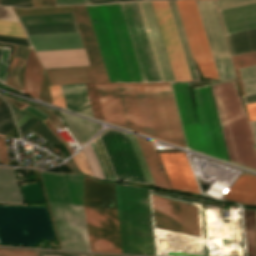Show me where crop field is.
Listing matches in <instances>:
<instances>
[{
  "label": "crop field",
  "mask_w": 256,
  "mask_h": 256,
  "mask_svg": "<svg viewBox=\"0 0 256 256\" xmlns=\"http://www.w3.org/2000/svg\"><path fill=\"white\" fill-rule=\"evenodd\" d=\"M114 188L123 254L155 256L148 190ZM114 188L85 177L83 203L91 251L122 254Z\"/></svg>",
  "instance_id": "obj_1"
},
{
  "label": "crop field",
  "mask_w": 256,
  "mask_h": 256,
  "mask_svg": "<svg viewBox=\"0 0 256 256\" xmlns=\"http://www.w3.org/2000/svg\"><path fill=\"white\" fill-rule=\"evenodd\" d=\"M86 6L109 81L142 82L118 4Z\"/></svg>",
  "instance_id": "obj_2"
},
{
  "label": "crop field",
  "mask_w": 256,
  "mask_h": 256,
  "mask_svg": "<svg viewBox=\"0 0 256 256\" xmlns=\"http://www.w3.org/2000/svg\"><path fill=\"white\" fill-rule=\"evenodd\" d=\"M171 85L188 148L227 162L208 85L192 88L198 123L186 82Z\"/></svg>",
  "instance_id": "obj_3"
},
{
  "label": "crop field",
  "mask_w": 256,
  "mask_h": 256,
  "mask_svg": "<svg viewBox=\"0 0 256 256\" xmlns=\"http://www.w3.org/2000/svg\"><path fill=\"white\" fill-rule=\"evenodd\" d=\"M210 86L230 162L256 170L252 132L235 81H219Z\"/></svg>",
  "instance_id": "obj_4"
},
{
  "label": "crop field",
  "mask_w": 256,
  "mask_h": 256,
  "mask_svg": "<svg viewBox=\"0 0 256 256\" xmlns=\"http://www.w3.org/2000/svg\"><path fill=\"white\" fill-rule=\"evenodd\" d=\"M40 173L62 248L90 251L83 206H72L62 173Z\"/></svg>",
  "instance_id": "obj_5"
},
{
  "label": "crop field",
  "mask_w": 256,
  "mask_h": 256,
  "mask_svg": "<svg viewBox=\"0 0 256 256\" xmlns=\"http://www.w3.org/2000/svg\"><path fill=\"white\" fill-rule=\"evenodd\" d=\"M118 4L142 81H164L140 2H120Z\"/></svg>",
  "instance_id": "obj_6"
},
{
  "label": "crop field",
  "mask_w": 256,
  "mask_h": 256,
  "mask_svg": "<svg viewBox=\"0 0 256 256\" xmlns=\"http://www.w3.org/2000/svg\"><path fill=\"white\" fill-rule=\"evenodd\" d=\"M142 85L155 137L186 147L169 83Z\"/></svg>",
  "instance_id": "obj_7"
},
{
  "label": "crop field",
  "mask_w": 256,
  "mask_h": 256,
  "mask_svg": "<svg viewBox=\"0 0 256 256\" xmlns=\"http://www.w3.org/2000/svg\"><path fill=\"white\" fill-rule=\"evenodd\" d=\"M95 84H96L104 120L106 122L114 123L121 126V119H122L123 127L125 122L126 128L143 133L132 85L121 84L123 111H124V122H123L120 84H119V91H120L121 119H120L118 84H106V83H95Z\"/></svg>",
  "instance_id": "obj_8"
},
{
  "label": "crop field",
  "mask_w": 256,
  "mask_h": 256,
  "mask_svg": "<svg viewBox=\"0 0 256 256\" xmlns=\"http://www.w3.org/2000/svg\"><path fill=\"white\" fill-rule=\"evenodd\" d=\"M188 44L203 77L218 79L194 1H175Z\"/></svg>",
  "instance_id": "obj_9"
},
{
  "label": "crop field",
  "mask_w": 256,
  "mask_h": 256,
  "mask_svg": "<svg viewBox=\"0 0 256 256\" xmlns=\"http://www.w3.org/2000/svg\"><path fill=\"white\" fill-rule=\"evenodd\" d=\"M221 80L235 78L227 44L213 0L195 1Z\"/></svg>",
  "instance_id": "obj_10"
},
{
  "label": "crop field",
  "mask_w": 256,
  "mask_h": 256,
  "mask_svg": "<svg viewBox=\"0 0 256 256\" xmlns=\"http://www.w3.org/2000/svg\"><path fill=\"white\" fill-rule=\"evenodd\" d=\"M99 136L119 179L146 184L126 134L107 129Z\"/></svg>",
  "instance_id": "obj_11"
},
{
  "label": "crop field",
  "mask_w": 256,
  "mask_h": 256,
  "mask_svg": "<svg viewBox=\"0 0 256 256\" xmlns=\"http://www.w3.org/2000/svg\"><path fill=\"white\" fill-rule=\"evenodd\" d=\"M176 81H191L167 1H151Z\"/></svg>",
  "instance_id": "obj_12"
},
{
  "label": "crop field",
  "mask_w": 256,
  "mask_h": 256,
  "mask_svg": "<svg viewBox=\"0 0 256 256\" xmlns=\"http://www.w3.org/2000/svg\"><path fill=\"white\" fill-rule=\"evenodd\" d=\"M154 200L160 229L199 232L196 205L156 197Z\"/></svg>",
  "instance_id": "obj_13"
},
{
  "label": "crop field",
  "mask_w": 256,
  "mask_h": 256,
  "mask_svg": "<svg viewBox=\"0 0 256 256\" xmlns=\"http://www.w3.org/2000/svg\"><path fill=\"white\" fill-rule=\"evenodd\" d=\"M95 81L109 82L85 5L72 6Z\"/></svg>",
  "instance_id": "obj_14"
},
{
  "label": "crop field",
  "mask_w": 256,
  "mask_h": 256,
  "mask_svg": "<svg viewBox=\"0 0 256 256\" xmlns=\"http://www.w3.org/2000/svg\"><path fill=\"white\" fill-rule=\"evenodd\" d=\"M159 155L173 189L201 194L183 152Z\"/></svg>",
  "instance_id": "obj_15"
},
{
  "label": "crop field",
  "mask_w": 256,
  "mask_h": 256,
  "mask_svg": "<svg viewBox=\"0 0 256 256\" xmlns=\"http://www.w3.org/2000/svg\"><path fill=\"white\" fill-rule=\"evenodd\" d=\"M42 66L33 50L30 48L26 61L23 92L38 98ZM54 105L65 107L60 85L48 86Z\"/></svg>",
  "instance_id": "obj_16"
},
{
  "label": "crop field",
  "mask_w": 256,
  "mask_h": 256,
  "mask_svg": "<svg viewBox=\"0 0 256 256\" xmlns=\"http://www.w3.org/2000/svg\"><path fill=\"white\" fill-rule=\"evenodd\" d=\"M218 12L225 34L256 28V3Z\"/></svg>",
  "instance_id": "obj_17"
},
{
  "label": "crop field",
  "mask_w": 256,
  "mask_h": 256,
  "mask_svg": "<svg viewBox=\"0 0 256 256\" xmlns=\"http://www.w3.org/2000/svg\"><path fill=\"white\" fill-rule=\"evenodd\" d=\"M27 37L35 51L83 48L78 32Z\"/></svg>",
  "instance_id": "obj_18"
},
{
  "label": "crop field",
  "mask_w": 256,
  "mask_h": 256,
  "mask_svg": "<svg viewBox=\"0 0 256 256\" xmlns=\"http://www.w3.org/2000/svg\"><path fill=\"white\" fill-rule=\"evenodd\" d=\"M165 81H175L150 1H140Z\"/></svg>",
  "instance_id": "obj_19"
},
{
  "label": "crop field",
  "mask_w": 256,
  "mask_h": 256,
  "mask_svg": "<svg viewBox=\"0 0 256 256\" xmlns=\"http://www.w3.org/2000/svg\"><path fill=\"white\" fill-rule=\"evenodd\" d=\"M36 53L43 68L88 65L83 49Z\"/></svg>",
  "instance_id": "obj_20"
},
{
  "label": "crop field",
  "mask_w": 256,
  "mask_h": 256,
  "mask_svg": "<svg viewBox=\"0 0 256 256\" xmlns=\"http://www.w3.org/2000/svg\"><path fill=\"white\" fill-rule=\"evenodd\" d=\"M223 199L252 205L256 199V176L241 171Z\"/></svg>",
  "instance_id": "obj_21"
},
{
  "label": "crop field",
  "mask_w": 256,
  "mask_h": 256,
  "mask_svg": "<svg viewBox=\"0 0 256 256\" xmlns=\"http://www.w3.org/2000/svg\"><path fill=\"white\" fill-rule=\"evenodd\" d=\"M51 84L93 82L88 66L45 69Z\"/></svg>",
  "instance_id": "obj_22"
},
{
  "label": "crop field",
  "mask_w": 256,
  "mask_h": 256,
  "mask_svg": "<svg viewBox=\"0 0 256 256\" xmlns=\"http://www.w3.org/2000/svg\"><path fill=\"white\" fill-rule=\"evenodd\" d=\"M59 113L64 123L66 124V126L71 131V133L73 134V136L79 144L87 141L100 128V126L89 121L61 112Z\"/></svg>",
  "instance_id": "obj_23"
},
{
  "label": "crop field",
  "mask_w": 256,
  "mask_h": 256,
  "mask_svg": "<svg viewBox=\"0 0 256 256\" xmlns=\"http://www.w3.org/2000/svg\"><path fill=\"white\" fill-rule=\"evenodd\" d=\"M0 202L22 203L12 168L0 167Z\"/></svg>",
  "instance_id": "obj_24"
},
{
  "label": "crop field",
  "mask_w": 256,
  "mask_h": 256,
  "mask_svg": "<svg viewBox=\"0 0 256 256\" xmlns=\"http://www.w3.org/2000/svg\"><path fill=\"white\" fill-rule=\"evenodd\" d=\"M136 139L138 141V144L143 153V156L145 158V161L148 165V168L151 172L155 184L158 186L169 188L159 167L160 164L157 159L152 143L138 137H136Z\"/></svg>",
  "instance_id": "obj_25"
},
{
  "label": "crop field",
  "mask_w": 256,
  "mask_h": 256,
  "mask_svg": "<svg viewBox=\"0 0 256 256\" xmlns=\"http://www.w3.org/2000/svg\"><path fill=\"white\" fill-rule=\"evenodd\" d=\"M230 53L256 50V29L226 35Z\"/></svg>",
  "instance_id": "obj_26"
},
{
  "label": "crop field",
  "mask_w": 256,
  "mask_h": 256,
  "mask_svg": "<svg viewBox=\"0 0 256 256\" xmlns=\"http://www.w3.org/2000/svg\"><path fill=\"white\" fill-rule=\"evenodd\" d=\"M22 26L75 22L72 12L17 16Z\"/></svg>",
  "instance_id": "obj_27"
},
{
  "label": "crop field",
  "mask_w": 256,
  "mask_h": 256,
  "mask_svg": "<svg viewBox=\"0 0 256 256\" xmlns=\"http://www.w3.org/2000/svg\"><path fill=\"white\" fill-rule=\"evenodd\" d=\"M192 81L199 80L174 1H168Z\"/></svg>",
  "instance_id": "obj_28"
},
{
  "label": "crop field",
  "mask_w": 256,
  "mask_h": 256,
  "mask_svg": "<svg viewBox=\"0 0 256 256\" xmlns=\"http://www.w3.org/2000/svg\"><path fill=\"white\" fill-rule=\"evenodd\" d=\"M132 85H133L143 129H144V133L148 136L155 138L149 113H148V109H147V105H146V101H145V97H144V93H143V89H142V85L141 84H132Z\"/></svg>",
  "instance_id": "obj_29"
},
{
  "label": "crop field",
  "mask_w": 256,
  "mask_h": 256,
  "mask_svg": "<svg viewBox=\"0 0 256 256\" xmlns=\"http://www.w3.org/2000/svg\"><path fill=\"white\" fill-rule=\"evenodd\" d=\"M28 48L15 46L11 66L7 78V84L21 90L17 81V70L26 59ZM22 91V90H21Z\"/></svg>",
  "instance_id": "obj_30"
},
{
  "label": "crop field",
  "mask_w": 256,
  "mask_h": 256,
  "mask_svg": "<svg viewBox=\"0 0 256 256\" xmlns=\"http://www.w3.org/2000/svg\"><path fill=\"white\" fill-rule=\"evenodd\" d=\"M26 35L78 31L75 23L23 27Z\"/></svg>",
  "instance_id": "obj_31"
},
{
  "label": "crop field",
  "mask_w": 256,
  "mask_h": 256,
  "mask_svg": "<svg viewBox=\"0 0 256 256\" xmlns=\"http://www.w3.org/2000/svg\"><path fill=\"white\" fill-rule=\"evenodd\" d=\"M95 150L97 152V155L99 157L100 163L102 165V168L104 170L105 176L107 179H113V180H119L114 168L108 158V155L103 147V144L99 138V136H97L96 138H94L92 140Z\"/></svg>",
  "instance_id": "obj_32"
},
{
  "label": "crop field",
  "mask_w": 256,
  "mask_h": 256,
  "mask_svg": "<svg viewBox=\"0 0 256 256\" xmlns=\"http://www.w3.org/2000/svg\"><path fill=\"white\" fill-rule=\"evenodd\" d=\"M70 190L73 205H82L83 176L64 174Z\"/></svg>",
  "instance_id": "obj_33"
},
{
  "label": "crop field",
  "mask_w": 256,
  "mask_h": 256,
  "mask_svg": "<svg viewBox=\"0 0 256 256\" xmlns=\"http://www.w3.org/2000/svg\"><path fill=\"white\" fill-rule=\"evenodd\" d=\"M89 165L93 176L97 178L106 179L99 163L98 157L94 150L92 142H90L85 148L82 149Z\"/></svg>",
  "instance_id": "obj_34"
},
{
  "label": "crop field",
  "mask_w": 256,
  "mask_h": 256,
  "mask_svg": "<svg viewBox=\"0 0 256 256\" xmlns=\"http://www.w3.org/2000/svg\"><path fill=\"white\" fill-rule=\"evenodd\" d=\"M245 93L256 92V66L239 69Z\"/></svg>",
  "instance_id": "obj_35"
},
{
  "label": "crop field",
  "mask_w": 256,
  "mask_h": 256,
  "mask_svg": "<svg viewBox=\"0 0 256 256\" xmlns=\"http://www.w3.org/2000/svg\"><path fill=\"white\" fill-rule=\"evenodd\" d=\"M32 131L35 134L39 135L43 139L47 140L48 142L52 143L53 145L59 147L61 144H59L55 138L48 132V130L42 125L41 122L36 121L34 124H32L26 131H24L21 136L26 134L28 131Z\"/></svg>",
  "instance_id": "obj_36"
},
{
  "label": "crop field",
  "mask_w": 256,
  "mask_h": 256,
  "mask_svg": "<svg viewBox=\"0 0 256 256\" xmlns=\"http://www.w3.org/2000/svg\"><path fill=\"white\" fill-rule=\"evenodd\" d=\"M235 69L256 64V51L231 56Z\"/></svg>",
  "instance_id": "obj_37"
},
{
  "label": "crop field",
  "mask_w": 256,
  "mask_h": 256,
  "mask_svg": "<svg viewBox=\"0 0 256 256\" xmlns=\"http://www.w3.org/2000/svg\"><path fill=\"white\" fill-rule=\"evenodd\" d=\"M0 34L26 38L19 23L1 21Z\"/></svg>",
  "instance_id": "obj_38"
},
{
  "label": "crop field",
  "mask_w": 256,
  "mask_h": 256,
  "mask_svg": "<svg viewBox=\"0 0 256 256\" xmlns=\"http://www.w3.org/2000/svg\"><path fill=\"white\" fill-rule=\"evenodd\" d=\"M12 9L15 15L72 11L70 6L50 7V8H32V9H17V8H12Z\"/></svg>",
  "instance_id": "obj_39"
},
{
  "label": "crop field",
  "mask_w": 256,
  "mask_h": 256,
  "mask_svg": "<svg viewBox=\"0 0 256 256\" xmlns=\"http://www.w3.org/2000/svg\"><path fill=\"white\" fill-rule=\"evenodd\" d=\"M217 9H225L234 6L254 3L256 0H215Z\"/></svg>",
  "instance_id": "obj_40"
},
{
  "label": "crop field",
  "mask_w": 256,
  "mask_h": 256,
  "mask_svg": "<svg viewBox=\"0 0 256 256\" xmlns=\"http://www.w3.org/2000/svg\"><path fill=\"white\" fill-rule=\"evenodd\" d=\"M9 48L3 47L0 58V81L5 83L6 70L9 59Z\"/></svg>",
  "instance_id": "obj_41"
},
{
  "label": "crop field",
  "mask_w": 256,
  "mask_h": 256,
  "mask_svg": "<svg viewBox=\"0 0 256 256\" xmlns=\"http://www.w3.org/2000/svg\"><path fill=\"white\" fill-rule=\"evenodd\" d=\"M0 43L31 47L27 39L2 36V35H0Z\"/></svg>",
  "instance_id": "obj_42"
},
{
  "label": "crop field",
  "mask_w": 256,
  "mask_h": 256,
  "mask_svg": "<svg viewBox=\"0 0 256 256\" xmlns=\"http://www.w3.org/2000/svg\"><path fill=\"white\" fill-rule=\"evenodd\" d=\"M0 256H36V254L35 252L0 249Z\"/></svg>",
  "instance_id": "obj_43"
},
{
  "label": "crop field",
  "mask_w": 256,
  "mask_h": 256,
  "mask_svg": "<svg viewBox=\"0 0 256 256\" xmlns=\"http://www.w3.org/2000/svg\"><path fill=\"white\" fill-rule=\"evenodd\" d=\"M0 19L17 22V20H16L15 16L13 15L11 9L6 8V7H0Z\"/></svg>",
  "instance_id": "obj_44"
},
{
  "label": "crop field",
  "mask_w": 256,
  "mask_h": 256,
  "mask_svg": "<svg viewBox=\"0 0 256 256\" xmlns=\"http://www.w3.org/2000/svg\"><path fill=\"white\" fill-rule=\"evenodd\" d=\"M23 110H25V111H27V112H29V113H31V114H33V115H35V116H37V117L43 119V120H44L46 117H48L47 114L43 113V112L40 111L39 109H37V108H35V107H33V106H30V105L26 106Z\"/></svg>",
  "instance_id": "obj_45"
},
{
  "label": "crop field",
  "mask_w": 256,
  "mask_h": 256,
  "mask_svg": "<svg viewBox=\"0 0 256 256\" xmlns=\"http://www.w3.org/2000/svg\"><path fill=\"white\" fill-rule=\"evenodd\" d=\"M250 121L256 120V103L245 105Z\"/></svg>",
  "instance_id": "obj_46"
},
{
  "label": "crop field",
  "mask_w": 256,
  "mask_h": 256,
  "mask_svg": "<svg viewBox=\"0 0 256 256\" xmlns=\"http://www.w3.org/2000/svg\"><path fill=\"white\" fill-rule=\"evenodd\" d=\"M56 5L64 4H89L88 0H55Z\"/></svg>",
  "instance_id": "obj_47"
},
{
  "label": "crop field",
  "mask_w": 256,
  "mask_h": 256,
  "mask_svg": "<svg viewBox=\"0 0 256 256\" xmlns=\"http://www.w3.org/2000/svg\"><path fill=\"white\" fill-rule=\"evenodd\" d=\"M38 256H91V255H75V254H59V253H43L37 252Z\"/></svg>",
  "instance_id": "obj_48"
},
{
  "label": "crop field",
  "mask_w": 256,
  "mask_h": 256,
  "mask_svg": "<svg viewBox=\"0 0 256 256\" xmlns=\"http://www.w3.org/2000/svg\"><path fill=\"white\" fill-rule=\"evenodd\" d=\"M245 104L256 102V93L243 96Z\"/></svg>",
  "instance_id": "obj_49"
},
{
  "label": "crop field",
  "mask_w": 256,
  "mask_h": 256,
  "mask_svg": "<svg viewBox=\"0 0 256 256\" xmlns=\"http://www.w3.org/2000/svg\"><path fill=\"white\" fill-rule=\"evenodd\" d=\"M250 124L253 132L254 141L256 143V121H252L250 122Z\"/></svg>",
  "instance_id": "obj_50"
},
{
  "label": "crop field",
  "mask_w": 256,
  "mask_h": 256,
  "mask_svg": "<svg viewBox=\"0 0 256 256\" xmlns=\"http://www.w3.org/2000/svg\"><path fill=\"white\" fill-rule=\"evenodd\" d=\"M30 116L28 115H24L22 118H20L16 123H17V127H19L21 124H23L27 119H29Z\"/></svg>",
  "instance_id": "obj_51"
},
{
  "label": "crop field",
  "mask_w": 256,
  "mask_h": 256,
  "mask_svg": "<svg viewBox=\"0 0 256 256\" xmlns=\"http://www.w3.org/2000/svg\"><path fill=\"white\" fill-rule=\"evenodd\" d=\"M90 4H94V3H105V2H113L116 0H89Z\"/></svg>",
  "instance_id": "obj_52"
},
{
  "label": "crop field",
  "mask_w": 256,
  "mask_h": 256,
  "mask_svg": "<svg viewBox=\"0 0 256 256\" xmlns=\"http://www.w3.org/2000/svg\"><path fill=\"white\" fill-rule=\"evenodd\" d=\"M43 6L55 5L54 0H42Z\"/></svg>",
  "instance_id": "obj_53"
},
{
  "label": "crop field",
  "mask_w": 256,
  "mask_h": 256,
  "mask_svg": "<svg viewBox=\"0 0 256 256\" xmlns=\"http://www.w3.org/2000/svg\"><path fill=\"white\" fill-rule=\"evenodd\" d=\"M33 7L42 6L41 0H32Z\"/></svg>",
  "instance_id": "obj_54"
},
{
  "label": "crop field",
  "mask_w": 256,
  "mask_h": 256,
  "mask_svg": "<svg viewBox=\"0 0 256 256\" xmlns=\"http://www.w3.org/2000/svg\"><path fill=\"white\" fill-rule=\"evenodd\" d=\"M36 121V119H34L32 122H30L24 129H22L20 131V133H22L24 130H26L32 123H34Z\"/></svg>",
  "instance_id": "obj_55"
},
{
  "label": "crop field",
  "mask_w": 256,
  "mask_h": 256,
  "mask_svg": "<svg viewBox=\"0 0 256 256\" xmlns=\"http://www.w3.org/2000/svg\"><path fill=\"white\" fill-rule=\"evenodd\" d=\"M1 49H2V47H0V53H1Z\"/></svg>",
  "instance_id": "obj_56"
},
{
  "label": "crop field",
  "mask_w": 256,
  "mask_h": 256,
  "mask_svg": "<svg viewBox=\"0 0 256 256\" xmlns=\"http://www.w3.org/2000/svg\"><path fill=\"white\" fill-rule=\"evenodd\" d=\"M117 1H125V0H117Z\"/></svg>",
  "instance_id": "obj_57"
},
{
  "label": "crop field",
  "mask_w": 256,
  "mask_h": 256,
  "mask_svg": "<svg viewBox=\"0 0 256 256\" xmlns=\"http://www.w3.org/2000/svg\"><path fill=\"white\" fill-rule=\"evenodd\" d=\"M254 204H256V201L254 202Z\"/></svg>",
  "instance_id": "obj_58"
},
{
  "label": "crop field",
  "mask_w": 256,
  "mask_h": 256,
  "mask_svg": "<svg viewBox=\"0 0 256 256\" xmlns=\"http://www.w3.org/2000/svg\"><path fill=\"white\" fill-rule=\"evenodd\" d=\"M2 99L0 98V101H1Z\"/></svg>",
  "instance_id": "obj_59"
}]
</instances>
